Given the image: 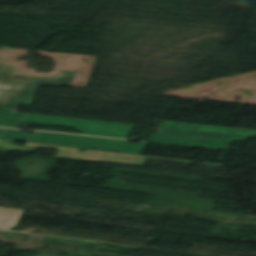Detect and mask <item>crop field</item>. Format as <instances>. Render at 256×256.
Segmentation results:
<instances>
[{
	"label": "crop field",
	"instance_id": "crop-field-1",
	"mask_svg": "<svg viewBox=\"0 0 256 256\" xmlns=\"http://www.w3.org/2000/svg\"><path fill=\"white\" fill-rule=\"evenodd\" d=\"M249 136L256 137V130L164 121L149 142L229 150Z\"/></svg>",
	"mask_w": 256,
	"mask_h": 256
},
{
	"label": "crop field",
	"instance_id": "crop-field-2",
	"mask_svg": "<svg viewBox=\"0 0 256 256\" xmlns=\"http://www.w3.org/2000/svg\"><path fill=\"white\" fill-rule=\"evenodd\" d=\"M76 72L63 71L56 78L29 75L13 66L0 65V107L30 106L38 83L70 86Z\"/></svg>",
	"mask_w": 256,
	"mask_h": 256
},
{
	"label": "crop field",
	"instance_id": "crop-field-3",
	"mask_svg": "<svg viewBox=\"0 0 256 256\" xmlns=\"http://www.w3.org/2000/svg\"><path fill=\"white\" fill-rule=\"evenodd\" d=\"M29 142L141 154L146 143L36 132Z\"/></svg>",
	"mask_w": 256,
	"mask_h": 256
},
{
	"label": "crop field",
	"instance_id": "crop-field-4",
	"mask_svg": "<svg viewBox=\"0 0 256 256\" xmlns=\"http://www.w3.org/2000/svg\"><path fill=\"white\" fill-rule=\"evenodd\" d=\"M24 122L77 128L84 134L125 139L134 125L31 114Z\"/></svg>",
	"mask_w": 256,
	"mask_h": 256
},
{
	"label": "crop field",
	"instance_id": "crop-field-5",
	"mask_svg": "<svg viewBox=\"0 0 256 256\" xmlns=\"http://www.w3.org/2000/svg\"><path fill=\"white\" fill-rule=\"evenodd\" d=\"M27 146L59 149L57 157L86 159V160L113 162V163H123V164H131V165H138V166H142L146 159L192 163V162H187V161L153 158V157H145V156H136V155H128V154H120V153H112V152L105 153V152H101V151H91V150H86L85 153H78L80 149L53 147V146L37 145V144H30V143H28ZM199 164L218 166V167L225 166V165H219V164H206V163H199Z\"/></svg>",
	"mask_w": 256,
	"mask_h": 256
},
{
	"label": "crop field",
	"instance_id": "crop-field-6",
	"mask_svg": "<svg viewBox=\"0 0 256 256\" xmlns=\"http://www.w3.org/2000/svg\"><path fill=\"white\" fill-rule=\"evenodd\" d=\"M25 210L0 208V229L10 230L20 221Z\"/></svg>",
	"mask_w": 256,
	"mask_h": 256
},
{
	"label": "crop field",
	"instance_id": "crop-field-7",
	"mask_svg": "<svg viewBox=\"0 0 256 256\" xmlns=\"http://www.w3.org/2000/svg\"><path fill=\"white\" fill-rule=\"evenodd\" d=\"M24 113H14L0 111V126L16 128L18 124L27 116Z\"/></svg>",
	"mask_w": 256,
	"mask_h": 256
},
{
	"label": "crop field",
	"instance_id": "crop-field-8",
	"mask_svg": "<svg viewBox=\"0 0 256 256\" xmlns=\"http://www.w3.org/2000/svg\"><path fill=\"white\" fill-rule=\"evenodd\" d=\"M30 135L31 134H28V133H20V131H17V130L6 129L1 139L27 142Z\"/></svg>",
	"mask_w": 256,
	"mask_h": 256
},
{
	"label": "crop field",
	"instance_id": "crop-field-9",
	"mask_svg": "<svg viewBox=\"0 0 256 256\" xmlns=\"http://www.w3.org/2000/svg\"><path fill=\"white\" fill-rule=\"evenodd\" d=\"M14 142L11 141H5V140H0V151H6L10 152L13 150H20V151H28V152H34L36 149L33 148H25V147H19L13 144Z\"/></svg>",
	"mask_w": 256,
	"mask_h": 256
},
{
	"label": "crop field",
	"instance_id": "crop-field-10",
	"mask_svg": "<svg viewBox=\"0 0 256 256\" xmlns=\"http://www.w3.org/2000/svg\"><path fill=\"white\" fill-rule=\"evenodd\" d=\"M4 131H5V129H0V137L2 136Z\"/></svg>",
	"mask_w": 256,
	"mask_h": 256
}]
</instances>
